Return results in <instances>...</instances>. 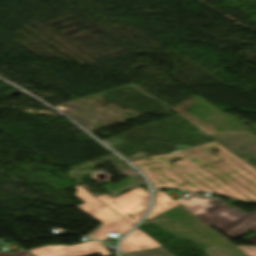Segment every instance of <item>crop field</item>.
Masks as SVG:
<instances>
[{
	"instance_id": "8a807250",
	"label": "crop field",
	"mask_w": 256,
	"mask_h": 256,
	"mask_svg": "<svg viewBox=\"0 0 256 256\" xmlns=\"http://www.w3.org/2000/svg\"><path fill=\"white\" fill-rule=\"evenodd\" d=\"M132 163L155 189L212 192L256 203V169L216 141L187 152L150 156Z\"/></svg>"
},
{
	"instance_id": "ac0d7876",
	"label": "crop field",
	"mask_w": 256,
	"mask_h": 256,
	"mask_svg": "<svg viewBox=\"0 0 256 256\" xmlns=\"http://www.w3.org/2000/svg\"><path fill=\"white\" fill-rule=\"evenodd\" d=\"M176 202L206 225L215 226L231 238L247 234L246 230L251 231L255 235L245 240L256 246V211L247 214L229 207L218 198L202 197L193 193L187 199L180 198Z\"/></svg>"
},
{
	"instance_id": "34b2d1b8",
	"label": "crop field",
	"mask_w": 256,
	"mask_h": 256,
	"mask_svg": "<svg viewBox=\"0 0 256 256\" xmlns=\"http://www.w3.org/2000/svg\"><path fill=\"white\" fill-rule=\"evenodd\" d=\"M75 188L78 190L76 196L86 202V204L78 207L103 222L99 228L88 236L103 241L109 237L107 234L111 231L124 235L125 232L133 228V224L100 202L87 191L79 186H76Z\"/></svg>"
},
{
	"instance_id": "412701ff",
	"label": "crop field",
	"mask_w": 256,
	"mask_h": 256,
	"mask_svg": "<svg viewBox=\"0 0 256 256\" xmlns=\"http://www.w3.org/2000/svg\"><path fill=\"white\" fill-rule=\"evenodd\" d=\"M124 218L135 224L148 207V192L137 187L115 199L105 194L97 197Z\"/></svg>"
},
{
	"instance_id": "f4fd0767",
	"label": "crop field",
	"mask_w": 256,
	"mask_h": 256,
	"mask_svg": "<svg viewBox=\"0 0 256 256\" xmlns=\"http://www.w3.org/2000/svg\"><path fill=\"white\" fill-rule=\"evenodd\" d=\"M33 256H91L100 254L104 256L111 255V253L97 241L74 245V246H46L43 248L29 250Z\"/></svg>"
},
{
	"instance_id": "dd49c442",
	"label": "crop field",
	"mask_w": 256,
	"mask_h": 256,
	"mask_svg": "<svg viewBox=\"0 0 256 256\" xmlns=\"http://www.w3.org/2000/svg\"><path fill=\"white\" fill-rule=\"evenodd\" d=\"M155 247L160 245L137 228L122 241L120 252L123 254Z\"/></svg>"
},
{
	"instance_id": "e52e79f7",
	"label": "crop field",
	"mask_w": 256,
	"mask_h": 256,
	"mask_svg": "<svg viewBox=\"0 0 256 256\" xmlns=\"http://www.w3.org/2000/svg\"><path fill=\"white\" fill-rule=\"evenodd\" d=\"M154 197H155V201L153 204V208L151 209L146 220L179 206V204H177L174 200H172L170 197H168L161 191H155Z\"/></svg>"
},
{
	"instance_id": "d8731c3e",
	"label": "crop field",
	"mask_w": 256,
	"mask_h": 256,
	"mask_svg": "<svg viewBox=\"0 0 256 256\" xmlns=\"http://www.w3.org/2000/svg\"><path fill=\"white\" fill-rule=\"evenodd\" d=\"M236 247H238L248 256H256V247H251V246H236Z\"/></svg>"
},
{
	"instance_id": "5a996713",
	"label": "crop field",
	"mask_w": 256,
	"mask_h": 256,
	"mask_svg": "<svg viewBox=\"0 0 256 256\" xmlns=\"http://www.w3.org/2000/svg\"><path fill=\"white\" fill-rule=\"evenodd\" d=\"M0 256H32V255L26 252L25 249L21 248L19 252H14L9 254L0 253Z\"/></svg>"
}]
</instances>
